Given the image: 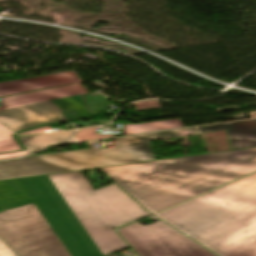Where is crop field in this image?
<instances>
[{"mask_svg":"<svg viewBox=\"0 0 256 256\" xmlns=\"http://www.w3.org/2000/svg\"><path fill=\"white\" fill-rule=\"evenodd\" d=\"M100 170L153 214L256 171V148Z\"/></svg>","mask_w":256,"mask_h":256,"instance_id":"8a807250","label":"crop field"},{"mask_svg":"<svg viewBox=\"0 0 256 256\" xmlns=\"http://www.w3.org/2000/svg\"><path fill=\"white\" fill-rule=\"evenodd\" d=\"M155 217L228 256L256 234V173Z\"/></svg>","mask_w":256,"mask_h":256,"instance_id":"ac0d7876","label":"crop field"},{"mask_svg":"<svg viewBox=\"0 0 256 256\" xmlns=\"http://www.w3.org/2000/svg\"><path fill=\"white\" fill-rule=\"evenodd\" d=\"M82 174L76 171L49 177L103 255L128 248L112 228L148 214L114 184L94 191Z\"/></svg>","mask_w":256,"mask_h":256,"instance_id":"34b2d1b8","label":"crop field"},{"mask_svg":"<svg viewBox=\"0 0 256 256\" xmlns=\"http://www.w3.org/2000/svg\"><path fill=\"white\" fill-rule=\"evenodd\" d=\"M197 133L195 128L117 138L115 148L90 149L40 155L0 162V180L94 169L155 160L148 140Z\"/></svg>","mask_w":256,"mask_h":256,"instance_id":"412701ff","label":"crop field"},{"mask_svg":"<svg viewBox=\"0 0 256 256\" xmlns=\"http://www.w3.org/2000/svg\"><path fill=\"white\" fill-rule=\"evenodd\" d=\"M33 203L18 179L0 181V237L18 256H70Z\"/></svg>","mask_w":256,"mask_h":256,"instance_id":"f4fd0767","label":"crop field"},{"mask_svg":"<svg viewBox=\"0 0 256 256\" xmlns=\"http://www.w3.org/2000/svg\"><path fill=\"white\" fill-rule=\"evenodd\" d=\"M19 181L73 256H102L47 175Z\"/></svg>","mask_w":256,"mask_h":256,"instance_id":"dd49c442","label":"crop field"},{"mask_svg":"<svg viewBox=\"0 0 256 256\" xmlns=\"http://www.w3.org/2000/svg\"><path fill=\"white\" fill-rule=\"evenodd\" d=\"M139 256H213L160 221L117 230Z\"/></svg>","mask_w":256,"mask_h":256,"instance_id":"e52e79f7","label":"crop field"},{"mask_svg":"<svg viewBox=\"0 0 256 256\" xmlns=\"http://www.w3.org/2000/svg\"><path fill=\"white\" fill-rule=\"evenodd\" d=\"M77 118H90L81 95L0 111V123L13 132Z\"/></svg>","mask_w":256,"mask_h":256,"instance_id":"d8731c3e","label":"crop field"},{"mask_svg":"<svg viewBox=\"0 0 256 256\" xmlns=\"http://www.w3.org/2000/svg\"><path fill=\"white\" fill-rule=\"evenodd\" d=\"M74 131L40 134V135H34V136H28V137H19L18 140L24 146L26 151L0 155V160L29 154L34 151L40 150L44 147H48L50 145L60 143L68 139L73 134ZM17 150H22V149L15 142L13 138V134H11L10 132H8L7 130H5L0 126V153L17 151Z\"/></svg>","mask_w":256,"mask_h":256,"instance_id":"5a996713","label":"crop field"},{"mask_svg":"<svg viewBox=\"0 0 256 256\" xmlns=\"http://www.w3.org/2000/svg\"><path fill=\"white\" fill-rule=\"evenodd\" d=\"M81 80L73 73H61L37 78L22 79L0 83V97L24 93L28 91L54 87Z\"/></svg>","mask_w":256,"mask_h":256,"instance_id":"3316defc","label":"crop field"},{"mask_svg":"<svg viewBox=\"0 0 256 256\" xmlns=\"http://www.w3.org/2000/svg\"><path fill=\"white\" fill-rule=\"evenodd\" d=\"M199 129L201 132L226 129L232 150L256 147V119L201 126Z\"/></svg>","mask_w":256,"mask_h":256,"instance_id":"28ad6ade","label":"crop field"},{"mask_svg":"<svg viewBox=\"0 0 256 256\" xmlns=\"http://www.w3.org/2000/svg\"><path fill=\"white\" fill-rule=\"evenodd\" d=\"M86 93L80 84L3 98L0 110Z\"/></svg>","mask_w":256,"mask_h":256,"instance_id":"d1516ede","label":"crop field"},{"mask_svg":"<svg viewBox=\"0 0 256 256\" xmlns=\"http://www.w3.org/2000/svg\"><path fill=\"white\" fill-rule=\"evenodd\" d=\"M183 127L179 119L145 124L124 125L125 135Z\"/></svg>","mask_w":256,"mask_h":256,"instance_id":"22f410ed","label":"crop field"},{"mask_svg":"<svg viewBox=\"0 0 256 256\" xmlns=\"http://www.w3.org/2000/svg\"><path fill=\"white\" fill-rule=\"evenodd\" d=\"M84 97L92 115L104 110L108 101L105 96L99 93L88 94Z\"/></svg>","mask_w":256,"mask_h":256,"instance_id":"cbeb9de0","label":"crop field"},{"mask_svg":"<svg viewBox=\"0 0 256 256\" xmlns=\"http://www.w3.org/2000/svg\"><path fill=\"white\" fill-rule=\"evenodd\" d=\"M229 256H256V235Z\"/></svg>","mask_w":256,"mask_h":256,"instance_id":"5142ce71","label":"crop field"},{"mask_svg":"<svg viewBox=\"0 0 256 256\" xmlns=\"http://www.w3.org/2000/svg\"><path fill=\"white\" fill-rule=\"evenodd\" d=\"M96 128H88V129L80 130L74 137L80 141L105 138V137H114L113 135H107V136L95 135L94 131Z\"/></svg>","mask_w":256,"mask_h":256,"instance_id":"d9b57169","label":"crop field"},{"mask_svg":"<svg viewBox=\"0 0 256 256\" xmlns=\"http://www.w3.org/2000/svg\"><path fill=\"white\" fill-rule=\"evenodd\" d=\"M0 256H17V255L0 239Z\"/></svg>","mask_w":256,"mask_h":256,"instance_id":"733c2abd","label":"crop field"},{"mask_svg":"<svg viewBox=\"0 0 256 256\" xmlns=\"http://www.w3.org/2000/svg\"><path fill=\"white\" fill-rule=\"evenodd\" d=\"M49 131H52L51 127L50 126H45V127H40V128L31 130V131H28V132L19 133V134H21V135H30V134H36V133L49 132Z\"/></svg>","mask_w":256,"mask_h":256,"instance_id":"4a817a6b","label":"crop field"},{"mask_svg":"<svg viewBox=\"0 0 256 256\" xmlns=\"http://www.w3.org/2000/svg\"><path fill=\"white\" fill-rule=\"evenodd\" d=\"M73 142H78V141H76V140H74V139H71V140H69L68 142L63 143V144H69V143H73ZM63 144H61V145H63Z\"/></svg>","mask_w":256,"mask_h":256,"instance_id":"bc2a9ffb","label":"crop field"},{"mask_svg":"<svg viewBox=\"0 0 256 256\" xmlns=\"http://www.w3.org/2000/svg\"><path fill=\"white\" fill-rule=\"evenodd\" d=\"M252 117H256V113H253V114H252Z\"/></svg>","mask_w":256,"mask_h":256,"instance_id":"214f88e0","label":"crop field"},{"mask_svg":"<svg viewBox=\"0 0 256 256\" xmlns=\"http://www.w3.org/2000/svg\"><path fill=\"white\" fill-rule=\"evenodd\" d=\"M110 256H116L115 254H113V255H110Z\"/></svg>","mask_w":256,"mask_h":256,"instance_id":"92a150f3","label":"crop field"}]
</instances>
